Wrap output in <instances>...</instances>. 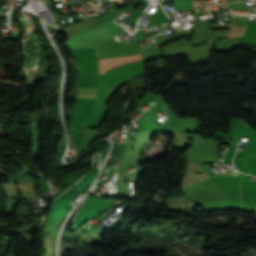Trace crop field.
<instances>
[{
    "label": "crop field",
    "mask_w": 256,
    "mask_h": 256,
    "mask_svg": "<svg viewBox=\"0 0 256 256\" xmlns=\"http://www.w3.org/2000/svg\"><path fill=\"white\" fill-rule=\"evenodd\" d=\"M139 59H140L139 55H133V56L114 58V59L100 60L99 61L100 73L103 71L109 70L111 68H114L123 64H127Z\"/></svg>",
    "instance_id": "obj_1"
},
{
    "label": "crop field",
    "mask_w": 256,
    "mask_h": 256,
    "mask_svg": "<svg viewBox=\"0 0 256 256\" xmlns=\"http://www.w3.org/2000/svg\"><path fill=\"white\" fill-rule=\"evenodd\" d=\"M78 97H86V96H78Z\"/></svg>",
    "instance_id": "obj_2"
}]
</instances>
